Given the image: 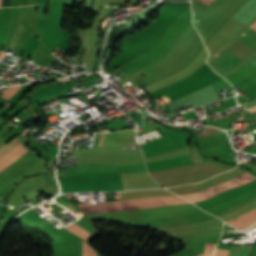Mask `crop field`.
<instances>
[{
    "instance_id": "14",
    "label": "crop field",
    "mask_w": 256,
    "mask_h": 256,
    "mask_svg": "<svg viewBox=\"0 0 256 256\" xmlns=\"http://www.w3.org/2000/svg\"><path fill=\"white\" fill-rule=\"evenodd\" d=\"M250 28H252V29L256 30V23H255V24H253Z\"/></svg>"
},
{
    "instance_id": "9",
    "label": "crop field",
    "mask_w": 256,
    "mask_h": 256,
    "mask_svg": "<svg viewBox=\"0 0 256 256\" xmlns=\"http://www.w3.org/2000/svg\"><path fill=\"white\" fill-rule=\"evenodd\" d=\"M191 156H192V161L193 163H198V162H202L197 151H196V147L193 146L191 147Z\"/></svg>"
},
{
    "instance_id": "11",
    "label": "crop field",
    "mask_w": 256,
    "mask_h": 256,
    "mask_svg": "<svg viewBox=\"0 0 256 256\" xmlns=\"http://www.w3.org/2000/svg\"><path fill=\"white\" fill-rule=\"evenodd\" d=\"M214 246H215V244H206L204 256H211Z\"/></svg>"
},
{
    "instance_id": "5",
    "label": "crop field",
    "mask_w": 256,
    "mask_h": 256,
    "mask_svg": "<svg viewBox=\"0 0 256 256\" xmlns=\"http://www.w3.org/2000/svg\"><path fill=\"white\" fill-rule=\"evenodd\" d=\"M46 5H38V11H37V28L34 36H36L39 40L41 39L44 30H45V24H46V18L47 16H44V10L46 9Z\"/></svg>"
},
{
    "instance_id": "7",
    "label": "crop field",
    "mask_w": 256,
    "mask_h": 256,
    "mask_svg": "<svg viewBox=\"0 0 256 256\" xmlns=\"http://www.w3.org/2000/svg\"><path fill=\"white\" fill-rule=\"evenodd\" d=\"M241 246L239 247H232L230 253L228 256H237L239 250H240ZM250 246H242L238 256H246L248 250H249ZM252 248V247H251ZM251 250V249H250ZM250 252V251H249ZM249 254V253H248ZM248 256V255H247Z\"/></svg>"
},
{
    "instance_id": "1",
    "label": "crop field",
    "mask_w": 256,
    "mask_h": 256,
    "mask_svg": "<svg viewBox=\"0 0 256 256\" xmlns=\"http://www.w3.org/2000/svg\"><path fill=\"white\" fill-rule=\"evenodd\" d=\"M189 203L177 196L135 198L117 202L101 203L99 205L78 204L83 213L115 212L147 207H158Z\"/></svg>"
},
{
    "instance_id": "6",
    "label": "crop field",
    "mask_w": 256,
    "mask_h": 256,
    "mask_svg": "<svg viewBox=\"0 0 256 256\" xmlns=\"http://www.w3.org/2000/svg\"><path fill=\"white\" fill-rule=\"evenodd\" d=\"M72 232H74L75 234L81 236L84 239H89L90 237H92L88 232H86L85 230H83L82 228H80L79 226H77L76 224L72 223L66 227H64Z\"/></svg>"
},
{
    "instance_id": "10",
    "label": "crop field",
    "mask_w": 256,
    "mask_h": 256,
    "mask_svg": "<svg viewBox=\"0 0 256 256\" xmlns=\"http://www.w3.org/2000/svg\"><path fill=\"white\" fill-rule=\"evenodd\" d=\"M21 86L12 87L6 93L3 94V97L9 99Z\"/></svg>"
},
{
    "instance_id": "8",
    "label": "crop field",
    "mask_w": 256,
    "mask_h": 256,
    "mask_svg": "<svg viewBox=\"0 0 256 256\" xmlns=\"http://www.w3.org/2000/svg\"><path fill=\"white\" fill-rule=\"evenodd\" d=\"M18 143V141L15 139H13L12 141L2 145L0 147V157L5 154L7 151H9L11 148H13L14 146H16Z\"/></svg>"
},
{
    "instance_id": "17",
    "label": "crop field",
    "mask_w": 256,
    "mask_h": 256,
    "mask_svg": "<svg viewBox=\"0 0 256 256\" xmlns=\"http://www.w3.org/2000/svg\"><path fill=\"white\" fill-rule=\"evenodd\" d=\"M1 2H2V0H0V7H1Z\"/></svg>"
},
{
    "instance_id": "18",
    "label": "crop field",
    "mask_w": 256,
    "mask_h": 256,
    "mask_svg": "<svg viewBox=\"0 0 256 256\" xmlns=\"http://www.w3.org/2000/svg\"><path fill=\"white\" fill-rule=\"evenodd\" d=\"M200 256H203V254H202V255H200Z\"/></svg>"
},
{
    "instance_id": "12",
    "label": "crop field",
    "mask_w": 256,
    "mask_h": 256,
    "mask_svg": "<svg viewBox=\"0 0 256 256\" xmlns=\"http://www.w3.org/2000/svg\"><path fill=\"white\" fill-rule=\"evenodd\" d=\"M229 251L216 249L214 256H227Z\"/></svg>"
},
{
    "instance_id": "13",
    "label": "crop field",
    "mask_w": 256,
    "mask_h": 256,
    "mask_svg": "<svg viewBox=\"0 0 256 256\" xmlns=\"http://www.w3.org/2000/svg\"><path fill=\"white\" fill-rule=\"evenodd\" d=\"M104 137H105V133H104V134H102V136H101V138H100L99 146H102L103 141H104Z\"/></svg>"
},
{
    "instance_id": "4",
    "label": "crop field",
    "mask_w": 256,
    "mask_h": 256,
    "mask_svg": "<svg viewBox=\"0 0 256 256\" xmlns=\"http://www.w3.org/2000/svg\"><path fill=\"white\" fill-rule=\"evenodd\" d=\"M227 223L240 230L246 229L256 223V209H253L235 219L229 220Z\"/></svg>"
},
{
    "instance_id": "15",
    "label": "crop field",
    "mask_w": 256,
    "mask_h": 256,
    "mask_svg": "<svg viewBox=\"0 0 256 256\" xmlns=\"http://www.w3.org/2000/svg\"><path fill=\"white\" fill-rule=\"evenodd\" d=\"M4 55H5L4 53H1V52H0V59H1Z\"/></svg>"
},
{
    "instance_id": "2",
    "label": "crop field",
    "mask_w": 256,
    "mask_h": 256,
    "mask_svg": "<svg viewBox=\"0 0 256 256\" xmlns=\"http://www.w3.org/2000/svg\"><path fill=\"white\" fill-rule=\"evenodd\" d=\"M236 41L256 51V33L249 30ZM210 63L224 75L241 62L222 52Z\"/></svg>"
},
{
    "instance_id": "3",
    "label": "crop field",
    "mask_w": 256,
    "mask_h": 256,
    "mask_svg": "<svg viewBox=\"0 0 256 256\" xmlns=\"http://www.w3.org/2000/svg\"><path fill=\"white\" fill-rule=\"evenodd\" d=\"M255 178L256 177H252L250 174H248L246 172L243 175H241L240 177L233 179L231 181L216 185L214 187H211V188L201 191V192H197V193H193V194H189V195H182V197L186 198L187 200H189L192 203L202 201V200L210 198L224 190L231 189V188L246 184Z\"/></svg>"
},
{
    "instance_id": "16",
    "label": "crop field",
    "mask_w": 256,
    "mask_h": 256,
    "mask_svg": "<svg viewBox=\"0 0 256 256\" xmlns=\"http://www.w3.org/2000/svg\"><path fill=\"white\" fill-rule=\"evenodd\" d=\"M254 108H256V106H255V107H253V108H249V109H250V110H252V109H254ZM252 111L256 112V109H255V110H252Z\"/></svg>"
}]
</instances>
